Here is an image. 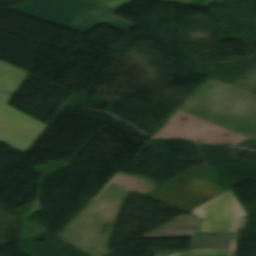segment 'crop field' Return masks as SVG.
I'll return each mask as SVG.
<instances>
[{
	"instance_id": "2",
	"label": "crop field",
	"mask_w": 256,
	"mask_h": 256,
	"mask_svg": "<svg viewBox=\"0 0 256 256\" xmlns=\"http://www.w3.org/2000/svg\"><path fill=\"white\" fill-rule=\"evenodd\" d=\"M201 218L196 234L236 233L239 217L248 214L232 190L189 211Z\"/></svg>"
},
{
	"instance_id": "4",
	"label": "crop field",
	"mask_w": 256,
	"mask_h": 256,
	"mask_svg": "<svg viewBox=\"0 0 256 256\" xmlns=\"http://www.w3.org/2000/svg\"><path fill=\"white\" fill-rule=\"evenodd\" d=\"M199 221L189 215H182L139 239L194 237Z\"/></svg>"
},
{
	"instance_id": "6",
	"label": "crop field",
	"mask_w": 256,
	"mask_h": 256,
	"mask_svg": "<svg viewBox=\"0 0 256 256\" xmlns=\"http://www.w3.org/2000/svg\"><path fill=\"white\" fill-rule=\"evenodd\" d=\"M28 73L0 61V90L17 93Z\"/></svg>"
},
{
	"instance_id": "9",
	"label": "crop field",
	"mask_w": 256,
	"mask_h": 256,
	"mask_svg": "<svg viewBox=\"0 0 256 256\" xmlns=\"http://www.w3.org/2000/svg\"><path fill=\"white\" fill-rule=\"evenodd\" d=\"M107 7L117 9L133 0H87Z\"/></svg>"
},
{
	"instance_id": "1",
	"label": "crop field",
	"mask_w": 256,
	"mask_h": 256,
	"mask_svg": "<svg viewBox=\"0 0 256 256\" xmlns=\"http://www.w3.org/2000/svg\"><path fill=\"white\" fill-rule=\"evenodd\" d=\"M7 9L80 34L101 23L127 34L134 25L113 9L82 0H32Z\"/></svg>"
},
{
	"instance_id": "3",
	"label": "crop field",
	"mask_w": 256,
	"mask_h": 256,
	"mask_svg": "<svg viewBox=\"0 0 256 256\" xmlns=\"http://www.w3.org/2000/svg\"><path fill=\"white\" fill-rule=\"evenodd\" d=\"M11 96L0 93V141L27 152L48 126L8 106Z\"/></svg>"
},
{
	"instance_id": "5",
	"label": "crop field",
	"mask_w": 256,
	"mask_h": 256,
	"mask_svg": "<svg viewBox=\"0 0 256 256\" xmlns=\"http://www.w3.org/2000/svg\"><path fill=\"white\" fill-rule=\"evenodd\" d=\"M236 234L196 235L191 250L232 249Z\"/></svg>"
},
{
	"instance_id": "10",
	"label": "crop field",
	"mask_w": 256,
	"mask_h": 256,
	"mask_svg": "<svg viewBox=\"0 0 256 256\" xmlns=\"http://www.w3.org/2000/svg\"><path fill=\"white\" fill-rule=\"evenodd\" d=\"M245 222H246V218H242L240 230L245 229Z\"/></svg>"
},
{
	"instance_id": "8",
	"label": "crop field",
	"mask_w": 256,
	"mask_h": 256,
	"mask_svg": "<svg viewBox=\"0 0 256 256\" xmlns=\"http://www.w3.org/2000/svg\"><path fill=\"white\" fill-rule=\"evenodd\" d=\"M233 251L182 252L174 256H232Z\"/></svg>"
},
{
	"instance_id": "7",
	"label": "crop field",
	"mask_w": 256,
	"mask_h": 256,
	"mask_svg": "<svg viewBox=\"0 0 256 256\" xmlns=\"http://www.w3.org/2000/svg\"><path fill=\"white\" fill-rule=\"evenodd\" d=\"M164 2L207 8L211 2L225 4V0H163Z\"/></svg>"
}]
</instances>
